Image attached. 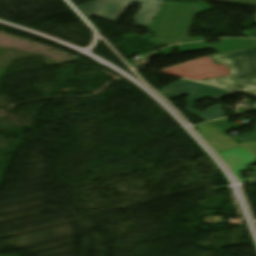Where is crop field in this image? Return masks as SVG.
<instances>
[{
  "label": "crop field",
  "mask_w": 256,
  "mask_h": 256,
  "mask_svg": "<svg viewBox=\"0 0 256 256\" xmlns=\"http://www.w3.org/2000/svg\"><path fill=\"white\" fill-rule=\"evenodd\" d=\"M212 10L204 2L181 3L166 1L148 31L157 36L152 42L158 45L203 40L189 38L196 15Z\"/></svg>",
  "instance_id": "1"
},
{
  "label": "crop field",
  "mask_w": 256,
  "mask_h": 256,
  "mask_svg": "<svg viewBox=\"0 0 256 256\" xmlns=\"http://www.w3.org/2000/svg\"><path fill=\"white\" fill-rule=\"evenodd\" d=\"M217 64L227 63L232 76L202 80L200 82L243 91L256 88L250 81L256 80V48L224 52L211 56Z\"/></svg>",
  "instance_id": "2"
},
{
  "label": "crop field",
  "mask_w": 256,
  "mask_h": 256,
  "mask_svg": "<svg viewBox=\"0 0 256 256\" xmlns=\"http://www.w3.org/2000/svg\"><path fill=\"white\" fill-rule=\"evenodd\" d=\"M159 91L167 98L172 96L179 97L187 93L189 95L187 99V111L206 121L225 117L222 106L216 105L201 113L195 110V102L203 98H213L218 100L234 93L184 79L165 86L159 89Z\"/></svg>",
  "instance_id": "3"
},
{
  "label": "crop field",
  "mask_w": 256,
  "mask_h": 256,
  "mask_svg": "<svg viewBox=\"0 0 256 256\" xmlns=\"http://www.w3.org/2000/svg\"><path fill=\"white\" fill-rule=\"evenodd\" d=\"M132 1L142 4L136 15L134 25L147 27L163 1L160 0H96L81 5L80 8L88 15L98 16L111 22H117Z\"/></svg>",
  "instance_id": "4"
},
{
  "label": "crop field",
  "mask_w": 256,
  "mask_h": 256,
  "mask_svg": "<svg viewBox=\"0 0 256 256\" xmlns=\"http://www.w3.org/2000/svg\"><path fill=\"white\" fill-rule=\"evenodd\" d=\"M230 168L234 171L239 182L253 180L254 177L242 180L241 172L248 171L247 166L256 163V156L249 152L244 147L231 149L219 153Z\"/></svg>",
  "instance_id": "5"
},
{
  "label": "crop field",
  "mask_w": 256,
  "mask_h": 256,
  "mask_svg": "<svg viewBox=\"0 0 256 256\" xmlns=\"http://www.w3.org/2000/svg\"><path fill=\"white\" fill-rule=\"evenodd\" d=\"M221 43L210 45L206 42L178 45L180 53L213 48L215 51L224 52L239 49L255 48L256 43L252 40L222 39Z\"/></svg>",
  "instance_id": "6"
},
{
  "label": "crop field",
  "mask_w": 256,
  "mask_h": 256,
  "mask_svg": "<svg viewBox=\"0 0 256 256\" xmlns=\"http://www.w3.org/2000/svg\"><path fill=\"white\" fill-rule=\"evenodd\" d=\"M207 141L212 145V147L217 152L244 145L246 148H248L251 152H253L256 155V142H248V143L238 145L236 142H234L228 136L213 138V139H209Z\"/></svg>",
  "instance_id": "7"
},
{
  "label": "crop field",
  "mask_w": 256,
  "mask_h": 256,
  "mask_svg": "<svg viewBox=\"0 0 256 256\" xmlns=\"http://www.w3.org/2000/svg\"><path fill=\"white\" fill-rule=\"evenodd\" d=\"M199 132L206 138H213L218 136L226 135L221 131L217 130L216 128L212 127L211 125L205 123L201 125H197Z\"/></svg>",
  "instance_id": "8"
},
{
  "label": "crop field",
  "mask_w": 256,
  "mask_h": 256,
  "mask_svg": "<svg viewBox=\"0 0 256 256\" xmlns=\"http://www.w3.org/2000/svg\"><path fill=\"white\" fill-rule=\"evenodd\" d=\"M211 124L224 132L232 129L227 119L211 122Z\"/></svg>",
  "instance_id": "9"
},
{
  "label": "crop field",
  "mask_w": 256,
  "mask_h": 256,
  "mask_svg": "<svg viewBox=\"0 0 256 256\" xmlns=\"http://www.w3.org/2000/svg\"><path fill=\"white\" fill-rule=\"evenodd\" d=\"M234 138H236L240 142H243V141H246V142H248V141H256V129H255V132L244 134V135L235 136Z\"/></svg>",
  "instance_id": "10"
},
{
  "label": "crop field",
  "mask_w": 256,
  "mask_h": 256,
  "mask_svg": "<svg viewBox=\"0 0 256 256\" xmlns=\"http://www.w3.org/2000/svg\"><path fill=\"white\" fill-rule=\"evenodd\" d=\"M250 37H256V31L244 32Z\"/></svg>",
  "instance_id": "11"
},
{
  "label": "crop field",
  "mask_w": 256,
  "mask_h": 256,
  "mask_svg": "<svg viewBox=\"0 0 256 256\" xmlns=\"http://www.w3.org/2000/svg\"><path fill=\"white\" fill-rule=\"evenodd\" d=\"M253 83L256 85V81H253ZM243 92H247V93L256 95V89L248 90V91H243Z\"/></svg>",
  "instance_id": "12"
},
{
  "label": "crop field",
  "mask_w": 256,
  "mask_h": 256,
  "mask_svg": "<svg viewBox=\"0 0 256 256\" xmlns=\"http://www.w3.org/2000/svg\"><path fill=\"white\" fill-rule=\"evenodd\" d=\"M254 3H256V0H252Z\"/></svg>",
  "instance_id": "13"
},
{
  "label": "crop field",
  "mask_w": 256,
  "mask_h": 256,
  "mask_svg": "<svg viewBox=\"0 0 256 256\" xmlns=\"http://www.w3.org/2000/svg\"><path fill=\"white\" fill-rule=\"evenodd\" d=\"M254 41L256 42V39Z\"/></svg>",
  "instance_id": "14"
}]
</instances>
